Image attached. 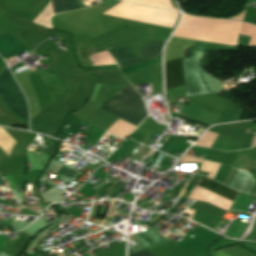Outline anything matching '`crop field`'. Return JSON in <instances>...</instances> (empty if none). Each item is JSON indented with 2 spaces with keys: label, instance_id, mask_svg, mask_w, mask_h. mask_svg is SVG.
<instances>
[{
  "label": "crop field",
  "instance_id": "crop-field-1",
  "mask_svg": "<svg viewBox=\"0 0 256 256\" xmlns=\"http://www.w3.org/2000/svg\"><path fill=\"white\" fill-rule=\"evenodd\" d=\"M103 14L169 28H172L177 18V13L174 12L124 1L119 2Z\"/></svg>",
  "mask_w": 256,
  "mask_h": 256
},
{
  "label": "crop field",
  "instance_id": "crop-field-17",
  "mask_svg": "<svg viewBox=\"0 0 256 256\" xmlns=\"http://www.w3.org/2000/svg\"><path fill=\"white\" fill-rule=\"evenodd\" d=\"M247 125H248V122H247V124H246L245 132H248V130H249V129H247ZM251 125H252V122H249L248 128H250ZM252 127H256V124H253ZM251 130H252V128H250V131H249V132H251Z\"/></svg>",
  "mask_w": 256,
  "mask_h": 256
},
{
  "label": "crop field",
  "instance_id": "crop-field-14",
  "mask_svg": "<svg viewBox=\"0 0 256 256\" xmlns=\"http://www.w3.org/2000/svg\"><path fill=\"white\" fill-rule=\"evenodd\" d=\"M219 166V163L204 160L203 164L200 166V171L210 173L209 178L213 179Z\"/></svg>",
  "mask_w": 256,
  "mask_h": 256
},
{
  "label": "crop field",
  "instance_id": "crop-field-6",
  "mask_svg": "<svg viewBox=\"0 0 256 256\" xmlns=\"http://www.w3.org/2000/svg\"><path fill=\"white\" fill-rule=\"evenodd\" d=\"M165 41H159V42H152V43H144L141 44L142 47V58H135L129 61H125L122 63H119V67H125L128 65H132L138 62L155 59L160 57V51L163 47Z\"/></svg>",
  "mask_w": 256,
  "mask_h": 256
},
{
  "label": "crop field",
  "instance_id": "crop-field-5",
  "mask_svg": "<svg viewBox=\"0 0 256 256\" xmlns=\"http://www.w3.org/2000/svg\"><path fill=\"white\" fill-rule=\"evenodd\" d=\"M166 90L183 86L181 58L165 63Z\"/></svg>",
  "mask_w": 256,
  "mask_h": 256
},
{
  "label": "crop field",
  "instance_id": "crop-field-10",
  "mask_svg": "<svg viewBox=\"0 0 256 256\" xmlns=\"http://www.w3.org/2000/svg\"><path fill=\"white\" fill-rule=\"evenodd\" d=\"M133 235L141 241L145 248L167 241L164 237H162L152 229Z\"/></svg>",
  "mask_w": 256,
  "mask_h": 256
},
{
  "label": "crop field",
  "instance_id": "crop-field-4",
  "mask_svg": "<svg viewBox=\"0 0 256 256\" xmlns=\"http://www.w3.org/2000/svg\"><path fill=\"white\" fill-rule=\"evenodd\" d=\"M183 64L186 80V96L209 93L207 87L202 80L199 66L195 57L193 56L184 60Z\"/></svg>",
  "mask_w": 256,
  "mask_h": 256
},
{
  "label": "crop field",
  "instance_id": "crop-field-12",
  "mask_svg": "<svg viewBox=\"0 0 256 256\" xmlns=\"http://www.w3.org/2000/svg\"><path fill=\"white\" fill-rule=\"evenodd\" d=\"M117 63L135 58L129 48L109 51Z\"/></svg>",
  "mask_w": 256,
  "mask_h": 256
},
{
  "label": "crop field",
  "instance_id": "crop-field-19",
  "mask_svg": "<svg viewBox=\"0 0 256 256\" xmlns=\"http://www.w3.org/2000/svg\"><path fill=\"white\" fill-rule=\"evenodd\" d=\"M230 105H231V104H230ZM230 105H229V106H230ZM229 106H228V107H229ZM231 106H232V105H231ZM231 106H230V107H231ZM228 107L226 108V110L228 109ZM233 108H234V107L232 106V107L229 109V111H231ZM229 111H228V112H229ZM224 112H225V110H224ZM224 112H223L222 114H224ZM226 112H227V111H226ZM228 112H227V113H228ZM225 114H226V113H225ZM225 114H224V115H225ZM228 114H229V113H228ZM226 115H227V114H226ZM226 115H225V116H226ZM226 117H227V116H226Z\"/></svg>",
  "mask_w": 256,
  "mask_h": 256
},
{
  "label": "crop field",
  "instance_id": "crop-field-3",
  "mask_svg": "<svg viewBox=\"0 0 256 256\" xmlns=\"http://www.w3.org/2000/svg\"><path fill=\"white\" fill-rule=\"evenodd\" d=\"M0 99L13 112L28 123V111L25 97L7 67L0 73Z\"/></svg>",
  "mask_w": 256,
  "mask_h": 256
},
{
  "label": "crop field",
  "instance_id": "crop-field-2",
  "mask_svg": "<svg viewBox=\"0 0 256 256\" xmlns=\"http://www.w3.org/2000/svg\"><path fill=\"white\" fill-rule=\"evenodd\" d=\"M101 108L136 126L147 116L141 97L130 84L116 93Z\"/></svg>",
  "mask_w": 256,
  "mask_h": 256
},
{
  "label": "crop field",
  "instance_id": "crop-field-20",
  "mask_svg": "<svg viewBox=\"0 0 256 256\" xmlns=\"http://www.w3.org/2000/svg\"><path fill=\"white\" fill-rule=\"evenodd\" d=\"M2 184H4V183H3L2 179L0 178V185H2Z\"/></svg>",
  "mask_w": 256,
  "mask_h": 256
},
{
  "label": "crop field",
  "instance_id": "crop-field-15",
  "mask_svg": "<svg viewBox=\"0 0 256 256\" xmlns=\"http://www.w3.org/2000/svg\"><path fill=\"white\" fill-rule=\"evenodd\" d=\"M62 167H63V166H62ZM62 167H61V168H62ZM61 168H60V169H61ZM59 171H60V170H59ZM59 171H58V172H59ZM72 171H73V169L64 166V167L62 168V170L59 172V174L64 175V176L67 177ZM58 172H57V173H58ZM77 173H78V171L74 170L67 178L70 179V180H72V179L76 176Z\"/></svg>",
  "mask_w": 256,
  "mask_h": 256
},
{
  "label": "crop field",
  "instance_id": "crop-field-7",
  "mask_svg": "<svg viewBox=\"0 0 256 256\" xmlns=\"http://www.w3.org/2000/svg\"><path fill=\"white\" fill-rule=\"evenodd\" d=\"M196 187L227 197L232 200L234 199L237 193L236 191L203 176H201V178L199 179L198 183L196 184Z\"/></svg>",
  "mask_w": 256,
  "mask_h": 256
},
{
  "label": "crop field",
  "instance_id": "crop-field-16",
  "mask_svg": "<svg viewBox=\"0 0 256 256\" xmlns=\"http://www.w3.org/2000/svg\"><path fill=\"white\" fill-rule=\"evenodd\" d=\"M130 256H152V255L147 250H145L140 253L132 254Z\"/></svg>",
  "mask_w": 256,
  "mask_h": 256
},
{
  "label": "crop field",
  "instance_id": "crop-field-13",
  "mask_svg": "<svg viewBox=\"0 0 256 256\" xmlns=\"http://www.w3.org/2000/svg\"><path fill=\"white\" fill-rule=\"evenodd\" d=\"M126 1L147 4V5H153V6H158V7H163V8L174 10L169 0H126Z\"/></svg>",
  "mask_w": 256,
  "mask_h": 256
},
{
  "label": "crop field",
  "instance_id": "crop-field-21",
  "mask_svg": "<svg viewBox=\"0 0 256 256\" xmlns=\"http://www.w3.org/2000/svg\"><path fill=\"white\" fill-rule=\"evenodd\" d=\"M94 255H96V254H94ZM94 255H92V256H94Z\"/></svg>",
  "mask_w": 256,
  "mask_h": 256
},
{
  "label": "crop field",
  "instance_id": "crop-field-11",
  "mask_svg": "<svg viewBox=\"0 0 256 256\" xmlns=\"http://www.w3.org/2000/svg\"><path fill=\"white\" fill-rule=\"evenodd\" d=\"M54 13L79 9L77 0H51Z\"/></svg>",
  "mask_w": 256,
  "mask_h": 256
},
{
  "label": "crop field",
  "instance_id": "crop-field-22",
  "mask_svg": "<svg viewBox=\"0 0 256 256\" xmlns=\"http://www.w3.org/2000/svg\"><path fill=\"white\" fill-rule=\"evenodd\" d=\"M256 162V161H255Z\"/></svg>",
  "mask_w": 256,
  "mask_h": 256
},
{
  "label": "crop field",
  "instance_id": "crop-field-9",
  "mask_svg": "<svg viewBox=\"0 0 256 256\" xmlns=\"http://www.w3.org/2000/svg\"><path fill=\"white\" fill-rule=\"evenodd\" d=\"M239 171L250 174L249 171H245V170H241V169H239ZM248 174L246 175V174L238 172L236 177H235V179H234V181H233V183H232V185H231V188H233V189L238 191L240 186H241V184H242V181H243V179H244V177L246 175V177H245V179L243 181V184H242V186H241L239 191L251 194L253 189H254L255 183L253 181L252 176L248 175Z\"/></svg>",
  "mask_w": 256,
  "mask_h": 256
},
{
  "label": "crop field",
  "instance_id": "crop-field-18",
  "mask_svg": "<svg viewBox=\"0 0 256 256\" xmlns=\"http://www.w3.org/2000/svg\"><path fill=\"white\" fill-rule=\"evenodd\" d=\"M216 256H230V255H228V254H226V253L221 251V252H217Z\"/></svg>",
  "mask_w": 256,
  "mask_h": 256
},
{
  "label": "crop field",
  "instance_id": "crop-field-8",
  "mask_svg": "<svg viewBox=\"0 0 256 256\" xmlns=\"http://www.w3.org/2000/svg\"><path fill=\"white\" fill-rule=\"evenodd\" d=\"M23 51L25 49L9 33L0 36V55L3 58Z\"/></svg>",
  "mask_w": 256,
  "mask_h": 256
}]
</instances>
